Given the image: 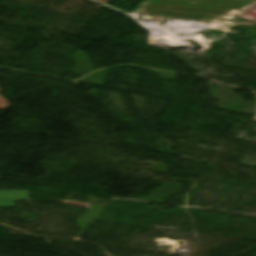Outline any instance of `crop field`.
I'll return each instance as SVG.
<instances>
[{
	"label": "crop field",
	"mask_w": 256,
	"mask_h": 256,
	"mask_svg": "<svg viewBox=\"0 0 256 256\" xmlns=\"http://www.w3.org/2000/svg\"><path fill=\"white\" fill-rule=\"evenodd\" d=\"M252 0H147L145 4L237 10Z\"/></svg>",
	"instance_id": "8a807250"
},
{
	"label": "crop field",
	"mask_w": 256,
	"mask_h": 256,
	"mask_svg": "<svg viewBox=\"0 0 256 256\" xmlns=\"http://www.w3.org/2000/svg\"><path fill=\"white\" fill-rule=\"evenodd\" d=\"M146 6L152 5H144L141 11H149V12H159V13H170V14H182V15H194V16H206V17H213L212 19L207 18H197V17H188V16H178V15H169L164 14L166 16L165 19H173V18H195V19H203L212 21L218 16H222L221 14L215 13H205V12H192V11H179V10H166V9H153V8H146ZM152 7H163V8H174V9H185V10H196V11H207V12H218L224 13V15L231 13V11H224V10H212V9H198V8H184V7H168V6H152Z\"/></svg>",
	"instance_id": "ac0d7876"
},
{
	"label": "crop field",
	"mask_w": 256,
	"mask_h": 256,
	"mask_svg": "<svg viewBox=\"0 0 256 256\" xmlns=\"http://www.w3.org/2000/svg\"><path fill=\"white\" fill-rule=\"evenodd\" d=\"M14 200H27V191H0V206H13Z\"/></svg>",
	"instance_id": "34b2d1b8"
},
{
	"label": "crop field",
	"mask_w": 256,
	"mask_h": 256,
	"mask_svg": "<svg viewBox=\"0 0 256 256\" xmlns=\"http://www.w3.org/2000/svg\"><path fill=\"white\" fill-rule=\"evenodd\" d=\"M235 15L242 16V17L256 21V1L248 5L241 11L237 12Z\"/></svg>",
	"instance_id": "412701ff"
},
{
	"label": "crop field",
	"mask_w": 256,
	"mask_h": 256,
	"mask_svg": "<svg viewBox=\"0 0 256 256\" xmlns=\"http://www.w3.org/2000/svg\"><path fill=\"white\" fill-rule=\"evenodd\" d=\"M143 18H151V19H164L165 17L163 14L159 13H149V12H142Z\"/></svg>",
	"instance_id": "f4fd0767"
}]
</instances>
